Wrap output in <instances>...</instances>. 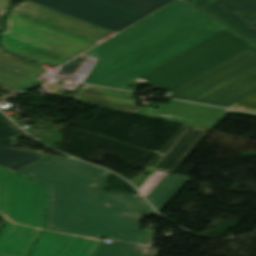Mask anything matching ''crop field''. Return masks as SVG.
<instances>
[{
    "label": "crop field",
    "instance_id": "8a807250",
    "mask_svg": "<svg viewBox=\"0 0 256 256\" xmlns=\"http://www.w3.org/2000/svg\"><path fill=\"white\" fill-rule=\"evenodd\" d=\"M99 58L84 83L118 88L139 77L166 97L228 107L256 92V49L183 0H26L0 33L4 48L57 67Z\"/></svg>",
    "mask_w": 256,
    "mask_h": 256
},
{
    "label": "crop field",
    "instance_id": "ac0d7876",
    "mask_svg": "<svg viewBox=\"0 0 256 256\" xmlns=\"http://www.w3.org/2000/svg\"><path fill=\"white\" fill-rule=\"evenodd\" d=\"M42 157L18 173L48 185L45 229L150 243L153 233L139 228L145 213H155L142 197L102 191L109 172L100 168L71 159Z\"/></svg>",
    "mask_w": 256,
    "mask_h": 256
},
{
    "label": "crop field",
    "instance_id": "34b2d1b8",
    "mask_svg": "<svg viewBox=\"0 0 256 256\" xmlns=\"http://www.w3.org/2000/svg\"><path fill=\"white\" fill-rule=\"evenodd\" d=\"M46 186L0 167V256H27L44 227Z\"/></svg>",
    "mask_w": 256,
    "mask_h": 256
},
{
    "label": "crop field",
    "instance_id": "412701ff",
    "mask_svg": "<svg viewBox=\"0 0 256 256\" xmlns=\"http://www.w3.org/2000/svg\"><path fill=\"white\" fill-rule=\"evenodd\" d=\"M193 6L256 47V0H197Z\"/></svg>",
    "mask_w": 256,
    "mask_h": 256
},
{
    "label": "crop field",
    "instance_id": "f4fd0767",
    "mask_svg": "<svg viewBox=\"0 0 256 256\" xmlns=\"http://www.w3.org/2000/svg\"><path fill=\"white\" fill-rule=\"evenodd\" d=\"M138 111L142 115L210 129H213L228 112L256 117V114L175 100L168 105L160 104L157 111L141 108H138Z\"/></svg>",
    "mask_w": 256,
    "mask_h": 256
},
{
    "label": "crop field",
    "instance_id": "dd49c442",
    "mask_svg": "<svg viewBox=\"0 0 256 256\" xmlns=\"http://www.w3.org/2000/svg\"><path fill=\"white\" fill-rule=\"evenodd\" d=\"M210 131L182 125L146 169L174 173Z\"/></svg>",
    "mask_w": 256,
    "mask_h": 256
},
{
    "label": "crop field",
    "instance_id": "e52e79f7",
    "mask_svg": "<svg viewBox=\"0 0 256 256\" xmlns=\"http://www.w3.org/2000/svg\"><path fill=\"white\" fill-rule=\"evenodd\" d=\"M102 241L44 230L29 256H93Z\"/></svg>",
    "mask_w": 256,
    "mask_h": 256
},
{
    "label": "crop field",
    "instance_id": "d8731c3e",
    "mask_svg": "<svg viewBox=\"0 0 256 256\" xmlns=\"http://www.w3.org/2000/svg\"><path fill=\"white\" fill-rule=\"evenodd\" d=\"M45 71L40 67L0 52V83L18 91L46 82L35 79Z\"/></svg>",
    "mask_w": 256,
    "mask_h": 256
},
{
    "label": "crop field",
    "instance_id": "5a996713",
    "mask_svg": "<svg viewBox=\"0 0 256 256\" xmlns=\"http://www.w3.org/2000/svg\"><path fill=\"white\" fill-rule=\"evenodd\" d=\"M74 100L139 114L133 94L130 92L84 85Z\"/></svg>",
    "mask_w": 256,
    "mask_h": 256
},
{
    "label": "crop field",
    "instance_id": "3316defc",
    "mask_svg": "<svg viewBox=\"0 0 256 256\" xmlns=\"http://www.w3.org/2000/svg\"><path fill=\"white\" fill-rule=\"evenodd\" d=\"M189 179L185 176L167 174L145 197L160 211Z\"/></svg>",
    "mask_w": 256,
    "mask_h": 256
},
{
    "label": "crop field",
    "instance_id": "28ad6ade",
    "mask_svg": "<svg viewBox=\"0 0 256 256\" xmlns=\"http://www.w3.org/2000/svg\"><path fill=\"white\" fill-rule=\"evenodd\" d=\"M160 249L142 245L116 242H102L94 256H157Z\"/></svg>",
    "mask_w": 256,
    "mask_h": 256
},
{
    "label": "crop field",
    "instance_id": "d1516ede",
    "mask_svg": "<svg viewBox=\"0 0 256 256\" xmlns=\"http://www.w3.org/2000/svg\"><path fill=\"white\" fill-rule=\"evenodd\" d=\"M42 159L41 154L0 147V166L18 172Z\"/></svg>",
    "mask_w": 256,
    "mask_h": 256
},
{
    "label": "crop field",
    "instance_id": "22f410ed",
    "mask_svg": "<svg viewBox=\"0 0 256 256\" xmlns=\"http://www.w3.org/2000/svg\"><path fill=\"white\" fill-rule=\"evenodd\" d=\"M26 135L27 134L24 131L15 126L11 121H9L4 115L0 113V146L43 153L41 150L37 149L16 147L19 145L16 138Z\"/></svg>",
    "mask_w": 256,
    "mask_h": 256
},
{
    "label": "crop field",
    "instance_id": "cbeb9de0",
    "mask_svg": "<svg viewBox=\"0 0 256 256\" xmlns=\"http://www.w3.org/2000/svg\"><path fill=\"white\" fill-rule=\"evenodd\" d=\"M230 108L248 110L256 112V93L245 98L244 100L230 106Z\"/></svg>",
    "mask_w": 256,
    "mask_h": 256
},
{
    "label": "crop field",
    "instance_id": "5142ce71",
    "mask_svg": "<svg viewBox=\"0 0 256 256\" xmlns=\"http://www.w3.org/2000/svg\"><path fill=\"white\" fill-rule=\"evenodd\" d=\"M166 174L156 172L139 190L145 196Z\"/></svg>",
    "mask_w": 256,
    "mask_h": 256
},
{
    "label": "crop field",
    "instance_id": "d9b57169",
    "mask_svg": "<svg viewBox=\"0 0 256 256\" xmlns=\"http://www.w3.org/2000/svg\"><path fill=\"white\" fill-rule=\"evenodd\" d=\"M85 57L80 56L79 58L61 66L60 71L62 73L73 74L77 68L81 65L84 61Z\"/></svg>",
    "mask_w": 256,
    "mask_h": 256
},
{
    "label": "crop field",
    "instance_id": "733c2abd",
    "mask_svg": "<svg viewBox=\"0 0 256 256\" xmlns=\"http://www.w3.org/2000/svg\"><path fill=\"white\" fill-rule=\"evenodd\" d=\"M17 92H18V91L13 90V89H11V88H8V87L3 86V85L0 84V99H1V100L5 99V98H7V97H9V96H11V95L17 93ZM3 101H4V100H3Z\"/></svg>",
    "mask_w": 256,
    "mask_h": 256
},
{
    "label": "crop field",
    "instance_id": "4a817a6b",
    "mask_svg": "<svg viewBox=\"0 0 256 256\" xmlns=\"http://www.w3.org/2000/svg\"><path fill=\"white\" fill-rule=\"evenodd\" d=\"M10 0H0V20L8 9ZM2 29V24L0 22V30Z\"/></svg>",
    "mask_w": 256,
    "mask_h": 256
},
{
    "label": "crop field",
    "instance_id": "bc2a9ffb",
    "mask_svg": "<svg viewBox=\"0 0 256 256\" xmlns=\"http://www.w3.org/2000/svg\"><path fill=\"white\" fill-rule=\"evenodd\" d=\"M48 87V89L50 90V92H52L51 94L54 95V96H60L61 94L60 93H56V91L60 90L61 87L58 86L57 84L55 83H52V84H48L46 85Z\"/></svg>",
    "mask_w": 256,
    "mask_h": 256
},
{
    "label": "crop field",
    "instance_id": "214f88e0",
    "mask_svg": "<svg viewBox=\"0 0 256 256\" xmlns=\"http://www.w3.org/2000/svg\"><path fill=\"white\" fill-rule=\"evenodd\" d=\"M133 81L138 82V83H140V84H142L143 82H146V81L141 80V79H139V78H137V79H135V80H133ZM133 81H131V82L125 84L124 86L120 87L119 89L134 91L133 88H128V85H129L130 83H132Z\"/></svg>",
    "mask_w": 256,
    "mask_h": 256
},
{
    "label": "crop field",
    "instance_id": "92a150f3",
    "mask_svg": "<svg viewBox=\"0 0 256 256\" xmlns=\"http://www.w3.org/2000/svg\"><path fill=\"white\" fill-rule=\"evenodd\" d=\"M184 1H186V2H188L190 4H192L194 2V0H184Z\"/></svg>",
    "mask_w": 256,
    "mask_h": 256
},
{
    "label": "crop field",
    "instance_id": "dafd665d",
    "mask_svg": "<svg viewBox=\"0 0 256 256\" xmlns=\"http://www.w3.org/2000/svg\"><path fill=\"white\" fill-rule=\"evenodd\" d=\"M2 231V229H0V232Z\"/></svg>",
    "mask_w": 256,
    "mask_h": 256
}]
</instances>
